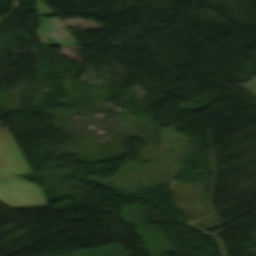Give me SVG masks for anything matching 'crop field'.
Returning a JSON list of instances; mask_svg holds the SVG:
<instances>
[{
	"label": "crop field",
	"instance_id": "crop-field-1",
	"mask_svg": "<svg viewBox=\"0 0 256 256\" xmlns=\"http://www.w3.org/2000/svg\"><path fill=\"white\" fill-rule=\"evenodd\" d=\"M0 201L11 208L46 206L40 186L18 176L0 180Z\"/></svg>",
	"mask_w": 256,
	"mask_h": 256
},
{
	"label": "crop field",
	"instance_id": "crop-field-2",
	"mask_svg": "<svg viewBox=\"0 0 256 256\" xmlns=\"http://www.w3.org/2000/svg\"><path fill=\"white\" fill-rule=\"evenodd\" d=\"M31 171L24 162L8 131L0 132V179Z\"/></svg>",
	"mask_w": 256,
	"mask_h": 256
},
{
	"label": "crop field",
	"instance_id": "crop-field-3",
	"mask_svg": "<svg viewBox=\"0 0 256 256\" xmlns=\"http://www.w3.org/2000/svg\"><path fill=\"white\" fill-rule=\"evenodd\" d=\"M0 130H2V128H0Z\"/></svg>",
	"mask_w": 256,
	"mask_h": 256
}]
</instances>
